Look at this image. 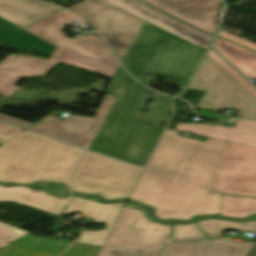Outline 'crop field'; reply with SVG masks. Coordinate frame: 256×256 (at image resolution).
I'll return each mask as SVG.
<instances>
[{"label":"crop field","instance_id":"214f88e0","mask_svg":"<svg viewBox=\"0 0 256 256\" xmlns=\"http://www.w3.org/2000/svg\"><path fill=\"white\" fill-rule=\"evenodd\" d=\"M218 52L239 69L250 80H256V54L219 38L216 40Z\"/></svg>","mask_w":256,"mask_h":256},{"label":"crop field","instance_id":"5142ce71","mask_svg":"<svg viewBox=\"0 0 256 256\" xmlns=\"http://www.w3.org/2000/svg\"><path fill=\"white\" fill-rule=\"evenodd\" d=\"M106 1L144 20H147L205 50L212 43V36L201 33L138 0Z\"/></svg>","mask_w":256,"mask_h":256},{"label":"crop field","instance_id":"8a807250","mask_svg":"<svg viewBox=\"0 0 256 256\" xmlns=\"http://www.w3.org/2000/svg\"><path fill=\"white\" fill-rule=\"evenodd\" d=\"M165 130L129 199L156 208L160 220L218 214L222 195L208 193L224 143Z\"/></svg>","mask_w":256,"mask_h":256},{"label":"crop field","instance_id":"22f410ed","mask_svg":"<svg viewBox=\"0 0 256 256\" xmlns=\"http://www.w3.org/2000/svg\"><path fill=\"white\" fill-rule=\"evenodd\" d=\"M203 31L214 34L220 0H143Z\"/></svg>","mask_w":256,"mask_h":256},{"label":"crop field","instance_id":"92a150f3","mask_svg":"<svg viewBox=\"0 0 256 256\" xmlns=\"http://www.w3.org/2000/svg\"><path fill=\"white\" fill-rule=\"evenodd\" d=\"M82 17L67 10L51 15L23 29L44 38L62 29L63 26Z\"/></svg>","mask_w":256,"mask_h":256},{"label":"crop field","instance_id":"cbeb9de0","mask_svg":"<svg viewBox=\"0 0 256 256\" xmlns=\"http://www.w3.org/2000/svg\"><path fill=\"white\" fill-rule=\"evenodd\" d=\"M122 200L114 202H102L98 196H75V199L69 204L62 214H69L72 211L81 210V214L95 219L93 223H104L107 229L90 232L83 231L80 236L79 242L102 246L113 223L118 217L123 208Z\"/></svg>","mask_w":256,"mask_h":256},{"label":"crop field","instance_id":"34b2d1b8","mask_svg":"<svg viewBox=\"0 0 256 256\" xmlns=\"http://www.w3.org/2000/svg\"><path fill=\"white\" fill-rule=\"evenodd\" d=\"M105 94L117 97L90 150L143 165L163 127L137 120L149 94L119 67Z\"/></svg>","mask_w":256,"mask_h":256},{"label":"crop field","instance_id":"bc2a9ffb","mask_svg":"<svg viewBox=\"0 0 256 256\" xmlns=\"http://www.w3.org/2000/svg\"><path fill=\"white\" fill-rule=\"evenodd\" d=\"M0 46L50 56L55 47L0 18Z\"/></svg>","mask_w":256,"mask_h":256},{"label":"crop field","instance_id":"730fd06b","mask_svg":"<svg viewBox=\"0 0 256 256\" xmlns=\"http://www.w3.org/2000/svg\"><path fill=\"white\" fill-rule=\"evenodd\" d=\"M0 119L4 120V121H7V122H10V123H13V124H16V125H19V126H22V127H25V128L32 125V124H29V123H26V122H23V121H20V120L11 118V117L1 115V114H0Z\"/></svg>","mask_w":256,"mask_h":256},{"label":"crop field","instance_id":"eef30255","mask_svg":"<svg viewBox=\"0 0 256 256\" xmlns=\"http://www.w3.org/2000/svg\"><path fill=\"white\" fill-rule=\"evenodd\" d=\"M9 243H11V242H9V241H7V240H5V239L0 237V248L5 246V245H7V244H9Z\"/></svg>","mask_w":256,"mask_h":256},{"label":"crop field","instance_id":"ae1a2a85","mask_svg":"<svg viewBox=\"0 0 256 256\" xmlns=\"http://www.w3.org/2000/svg\"><path fill=\"white\" fill-rule=\"evenodd\" d=\"M248 256H256V245L254 248L251 250V252L248 254Z\"/></svg>","mask_w":256,"mask_h":256},{"label":"crop field","instance_id":"4a817a6b","mask_svg":"<svg viewBox=\"0 0 256 256\" xmlns=\"http://www.w3.org/2000/svg\"><path fill=\"white\" fill-rule=\"evenodd\" d=\"M62 8L37 0H0V16L22 27Z\"/></svg>","mask_w":256,"mask_h":256},{"label":"crop field","instance_id":"a9b5d70f","mask_svg":"<svg viewBox=\"0 0 256 256\" xmlns=\"http://www.w3.org/2000/svg\"><path fill=\"white\" fill-rule=\"evenodd\" d=\"M24 129L0 122V145L8 141Z\"/></svg>","mask_w":256,"mask_h":256},{"label":"crop field","instance_id":"733c2abd","mask_svg":"<svg viewBox=\"0 0 256 256\" xmlns=\"http://www.w3.org/2000/svg\"><path fill=\"white\" fill-rule=\"evenodd\" d=\"M237 126H205L201 124H178L177 130L189 131L205 137L256 147V121H236Z\"/></svg>","mask_w":256,"mask_h":256},{"label":"crop field","instance_id":"d8731c3e","mask_svg":"<svg viewBox=\"0 0 256 256\" xmlns=\"http://www.w3.org/2000/svg\"><path fill=\"white\" fill-rule=\"evenodd\" d=\"M69 9L81 13L97 28L121 62L144 23L104 0H87Z\"/></svg>","mask_w":256,"mask_h":256},{"label":"crop field","instance_id":"dafd665d","mask_svg":"<svg viewBox=\"0 0 256 256\" xmlns=\"http://www.w3.org/2000/svg\"><path fill=\"white\" fill-rule=\"evenodd\" d=\"M220 215L240 219L256 215V199L223 195Z\"/></svg>","mask_w":256,"mask_h":256},{"label":"crop field","instance_id":"00972430","mask_svg":"<svg viewBox=\"0 0 256 256\" xmlns=\"http://www.w3.org/2000/svg\"><path fill=\"white\" fill-rule=\"evenodd\" d=\"M207 55L213 59L221 68H223L230 76H232L239 84H241L249 93L256 97V89L239 73H237L230 65H228L221 57H219L212 48L209 49Z\"/></svg>","mask_w":256,"mask_h":256},{"label":"crop field","instance_id":"5a996713","mask_svg":"<svg viewBox=\"0 0 256 256\" xmlns=\"http://www.w3.org/2000/svg\"><path fill=\"white\" fill-rule=\"evenodd\" d=\"M44 39L57 46L50 60L111 78L120 65L100 36L69 39L59 31Z\"/></svg>","mask_w":256,"mask_h":256},{"label":"crop field","instance_id":"f4fd0767","mask_svg":"<svg viewBox=\"0 0 256 256\" xmlns=\"http://www.w3.org/2000/svg\"><path fill=\"white\" fill-rule=\"evenodd\" d=\"M204 50L145 21L123 65L137 80L152 71L191 77Z\"/></svg>","mask_w":256,"mask_h":256},{"label":"crop field","instance_id":"ac0d7876","mask_svg":"<svg viewBox=\"0 0 256 256\" xmlns=\"http://www.w3.org/2000/svg\"><path fill=\"white\" fill-rule=\"evenodd\" d=\"M148 210L132 202L125 204L97 256H246L253 242L243 244L222 237L225 229L256 233V219L237 221L213 218L195 219L190 223L158 221Z\"/></svg>","mask_w":256,"mask_h":256},{"label":"crop field","instance_id":"28ad6ade","mask_svg":"<svg viewBox=\"0 0 256 256\" xmlns=\"http://www.w3.org/2000/svg\"><path fill=\"white\" fill-rule=\"evenodd\" d=\"M114 100L106 95L94 118L69 115L60 120L50 116L29 129L89 149Z\"/></svg>","mask_w":256,"mask_h":256},{"label":"crop field","instance_id":"d1516ede","mask_svg":"<svg viewBox=\"0 0 256 256\" xmlns=\"http://www.w3.org/2000/svg\"><path fill=\"white\" fill-rule=\"evenodd\" d=\"M68 198H54L41 190H31L23 186L6 188L0 185V202L19 203L56 216L67 205ZM26 234L28 232L0 222V236L11 242Z\"/></svg>","mask_w":256,"mask_h":256},{"label":"crop field","instance_id":"d9b57169","mask_svg":"<svg viewBox=\"0 0 256 256\" xmlns=\"http://www.w3.org/2000/svg\"><path fill=\"white\" fill-rule=\"evenodd\" d=\"M57 64L50 60L10 55L0 62V95H12L20 89L15 86L20 78L45 75Z\"/></svg>","mask_w":256,"mask_h":256},{"label":"crop field","instance_id":"4177f3b9","mask_svg":"<svg viewBox=\"0 0 256 256\" xmlns=\"http://www.w3.org/2000/svg\"><path fill=\"white\" fill-rule=\"evenodd\" d=\"M218 35L256 51V44L255 43H252V42L247 41L245 39L239 38L237 36H234L232 34L224 32L222 30H220Z\"/></svg>","mask_w":256,"mask_h":256},{"label":"crop field","instance_id":"dd49c442","mask_svg":"<svg viewBox=\"0 0 256 256\" xmlns=\"http://www.w3.org/2000/svg\"><path fill=\"white\" fill-rule=\"evenodd\" d=\"M141 168L84 150L70 180L73 192L127 198Z\"/></svg>","mask_w":256,"mask_h":256},{"label":"crop field","instance_id":"3316defc","mask_svg":"<svg viewBox=\"0 0 256 256\" xmlns=\"http://www.w3.org/2000/svg\"><path fill=\"white\" fill-rule=\"evenodd\" d=\"M209 191L256 197V148L226 142Z\"/></svg>","mask_w":256,"mask_h":256},{"label":"crop field","instance_id":"412701ff","mask_svg":"<svg viewBox=\"0 0 256 256\" xmlns=\"http://www.w3.org/2000/svg\"><path fill=\"white\" fill-rule=\"evenodd\" d=\"M82 148L23 131L0 147V181L66 183Z\"/></svg>","mask_w":256,"mask_h":256},{"label":"crop field","instance_id":"e52e79f7","mask_svg":"<svg viewBox=\"0 0 256 256\" xmlns=\"http://www.w3.org/2000/svg\"><path fill=\"white\" fill-rule=\"evenodd\" d=\"M188 89L206 91L199 108L232 109L237 118L256 119V98L206 55Z\"/></svg>","mask_w":256,"mask_h":256}]
</instances>
